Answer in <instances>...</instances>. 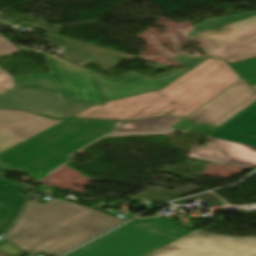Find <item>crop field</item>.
I'll list each match as a JSON object with an SVG mask.
<instances>
[{"mask_svg":"<svg viewBox=\"0 0 256 256\" xmlns=\"http://www.w3.org/2000/svg\"><path fill=\"white\" fill-rule=\"evenodd\" d=\"M238 79L225 60L209 58L161 90L96 105L74 117L122 121L166 115L184 118Z\"/></svg>","mask_w":256,"mask_h":256,"instance_id":"obj_1","label":"crop field"},{"mask_svg":"<svg viewBox=\"0 0 256 256\" xmlns=\"http://www.w3.org/2000/svg\"><path fill=\"white\" fill-rule=\"evenodd\" d=\"M124 221L79 204L54 199L28 203L7 239L29 254L58 256Z\"/></svg>","mask_w":256,"mask_h":256,"instance_id":"obj_2","label":"crop field"},{"mask_svg":"<svg viewBox=\"0 0 256 256\" xmlns=\"http://www.w3.org/2000/svg\"><path fill=\"white\" fill-rule=\"evenodd\" d=\"M114 123L68 119L0 154V167L26 173L37 182L70 161V154L116 128Z\"/></svg>","mask_w":256,"mask_h":256,"instance_id":"obj_3","label":"crop field"},{"mask_svg":"<svg viewBox=\"0 0 256 256\" xmlns=\"http://www.w3.org/2000/svg\"><path fill=\"white\" fill-rule=\"evenodd\" d=\"M189 232L161 217L140 219L66 256H144Z\"/></svg>","mask_w":256,"mask_h":256,"instance_id":"obj_4","label":"crop field"},{"mask_svg":"<svg viewBox=\"0 0 256 256\" xmlns=\"http://www.w3.org/2000/svg\"><path fill=\"white\" fill-rule=\"evenodd\" d=\"M189 37L211 39L220 48L203 53L228 64L256 56V12L210 19L194 26Z\"/></svg>","mask_w":256,"mask_h":256,"instance_id":"obj_5","label":"crop field"},{"mask_svg":"<svg viewBox=\"0 0 256 256\" xmlns=\"http://www.w3.org/2000/svg\"><path fill=\"white\" fill-rule=\"evenodd\" d=\"M46 59L50 73L14 77L17 88L55 90L66 101L105 103L92 71L53 56L46 55Z\"/></svg>","mask_w":256,"mask_h":256,"instance_id":"obj_6","label":"crop field"},{"mask_svg":"<svg viewBox=\"0 0 256 256\" xmlns=\"http://www.w3.org/2000/svg\"><path fill=\"white\" fill-rule=\"evenodd\" d=\"M146 256H256V237H230L196 230Z\"/></svg>","mask_w":256,"mask_h":256,"instance_id":"obj_7","label":"crop field"},{"mask_svg":"<svg viewBox=\"0 0 256 256\" xmlns=\"http://www.w3.org/2000/svg\"><path fill=\"white\" fill-rule=\"evenodd\" d=\"M92 106L65 102L57 92L37 88L10 89L0 94V107L24 108L53 118H69Z\"/></svg>","mask_w":256,"mask_h":256,"instance_id":"obj_8","label":"crop field"},{"mask_svg":"<svg viewBox=\"0 0 256 256\" xmlns=\"http://www.w3.org/2000/svg\"><path fill=\"white\" fill-rule=\"evenodd\" d=\"M256 100V92L241 78L185 119L218 127Z\"/></svg>","mask_w":256,"mask_h":256,"instance_id":"obj_9","label":"crop field"},{"mask_svg":"<svg viewBox=\"0 0 256 256\" xmlns=\"http://www.w3.org/2000/svg\"><path fill=\"white\" fill-rule=\"evenodd\" d=\"M187 70L176 69L152 78L129 72L119 78H107L94 73L106 102L161 89L186 73Z\"/></svg>","mask_w":256,"mask_h":256,"instance_id":"obj_10","label":"crop field"},{"mask_svg":"<svg viewBox=\"0 0 256 256\" xmlns=\"http://www.w3.org/2000/svg\"><path fill=\"white\" fill-rule=\"evenodd\" d=\"M63 120H53L25 110L0 109V153Z\"/></svg>","mask_w":256,"mask_h":256,"instance_id":"obj_11","label":"crop field"},{"mask_svg":"<svg viewBox=\"0 0 256 256\" xmlns=\"http://www.w3.org/2000/svg\"><path fill=\"white\" fill-rule=\"evenodd\" d=\"M191 158L251 169L256 166V148L214 138L206 148H195Z\"/></svg>","mask_w":256,"mask_h":256,"instance_id":"obj_12","label":"crop field"},{"mask_svg":"<svg viewBox=\"0 0 256 256\" xmlns=\"http://www.w3.org/2000/svg\"><path fill=\"white\" fill-rule=\"evenodd\" d=\"M0 175V233L7 230L27 198L21 192L28 186H17L3 179ZM4 243L0 242V245Z\"/></svg>","mask_w":256,"mask_h":256,"instance_id":"obj_13","label":"crop field"},{"mask_svg":"<svg viewBox=\"0 0 256 256\" xmlns=\"http://www.w3.org/2000/svg\"><path fill=\"white\" fill-rule=\"evenodd\" d=\"M180 120L182 119L171 116L133 120L123 124L109 136L135 134H170L176 130L170 127Z\"/></svg>","mask_w":256,"mask_h":256,"instance_id":"obj_14","label":"crop field"},{"mask_svg":"<svg viewBox=\"0 0 256 256\" xmlns=\"http://www.w3.org/2000/svg\"><path fill=\"white\" fill-rule=\"evenodd\" d=\"M220 128L256 138V103Z\"/></svg>","mask_w":256,"mask_h":256,"instance_id":"obj_15","label":"crop field"},{"mask_svg":"<svg viewBox=\"0 0 256 256\" xmlns=\"http://www.w3.org/2000/svg\"><path fill=\"white\" fill-rule=\"evenodd\" d=\"M18 51L17 47L0 34V56ZM10 88H16L13 76L0 69V93Z\"/></svg>","mask_w":256,"mask_h":256,"instance_id":"obj_16","label":"crop field"},{"mask_svg":"<svg viewBox=\"0 0 256 256\" xmlns=\"http://www.w3.org/2000/svg\"><path fill=\"white\" fill-rule=\"evenodd\" d=\"M230 66L236 70L250 85L256 84V57Z\"/></svg>","mask_w":256,"mask_h":256,"instance_id":"obj_17","label":"crop field"},{"mask_svg":"<svg viewBox=\"0 0 256 256\" xmlns=\"http://www.w3.org/2000/svg\"><path fill=\"white\" fill-rule=\"evenodd\" d=\"M208 136L217 137V138H221V139L234 141V142H238V143L256 147V139L255 138L248 137L245 135H241V134L234 133V132L227 131V130L220 129V128L214 130Z\"/></svg>","mask_w":256,"mask_h":256,"instance_id":"obj_18","label":"crop field"},{"mask_svg":"<svg viewBox=\"0 0 256 256\" xmlns=\"http://www.w3.org/2000/svg\"><path fill=\"white\" fill-rule=\"evenodd\" d=\"M173 128H179V129L196 132L204 135H207L211 131L216 129L213 127H209V126H205V125H201V124H197V123H193L185 120L180 121L179 123L174 125Z\"/></svg>","mask_w":256,"mask_h":256,"instance_id":"obj_19","label":"crop field"},{"mask_svg":"<svg viewBox=\"0 0 256 256\" xmlns=\"http://www.w3.org/2000/svg\"><path fill=\"white\" fill-rule=\"evenodd\" d=\"M209 58L208 56H191V55H185V56H178L174 57L175 60H177L182 66H184L186 69L190 70L199 63L203 62Z\"/></svg>","mask_w":256,"mask_h":256,"instance_id":"obj_20","label":"crop field"},{"mask_svg":"<svg viewBox=\"0 0 256 256\" xmlns=\"http://www.w3.org/2000/svg\"><path fill=\"white\" fill-rule=\"evenodd\" d=\"M254 88H255V90H256V86H253Z\"/></svg>","mask_w":256,"mask_h":256,"instance_id":"obj_21","label":"crop field"},{"mask_svg":"<svg viewBox=\"0 0 256 256\" xmlns=\"http://www.w3.org/2000/svg\"><path fill=\"white\" fill-rule=\"evenodd\" d=\"M255 175H256V173H255Z\"/></svg>","mask_w":256,"mask_h":256,"instance_id":"obj_22","label":"crop field"}]
</instances>
